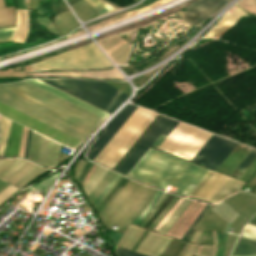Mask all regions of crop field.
I'll return each mask as SVG.
<instances>
[{
	"label": "crop field",
	"mask_w": 256,
	"mask_h": 256,
	"mask_svg": "<svg viewBox=\"0 0 256 256\" xmlns=\"http://www.w3.org/2000/svg\"><path fill=\"white\" fill-rule=\"evenodd\" d=\"M7 121H8L7 118L1 116L0 156L2 154V148H3L4 137H5L6 127H7Z\"/></svg>",
	"instance_id": "120bbe31"
},
{
	"label": "crop field",
	"mask_w": 256,
	"mask_h": 256,
	"mask_svg": "<svg viewBox=\"0 0 256 256\" xmlns=\"http://www.w3.org/2000/svg\"><path fill=\"white\" fill-rule=\"evenodd\" d=\"M103 167L99 166L95 169V171L92 173L91 177L89 178V180L86 182V184L83 186L84 190L86 188V186L91 183V181L93 180V178L101 171ZM108 171V169L103 168L102 171L94 178V180L92 181L91 184H89L86 188V193L87 195L90 193V191L96 186V184L101 180V178L106 174V172Z\"/></svg>",
	"instance_id": "a9b5d70f"
},
{
	"label": "crop field",
	"mask_w": 256,
	"mask_h": 256,
	"mask_svg": "<svg viewBox=\"0 0 256 256\" xmlns=\"http://www.w3.org/2000/svg\"><path fill=\"white\" fill-rule=\"evenodd\" d=\"M152 234L151 231H149V233L146 235V237L143 239V241L140 243V245L137 247V251H139L141 249V247L143 246V244L146 242V240L149 238V236ZM159 234H156L153 232V234L150 236V238L147 240V242L144 244V246L142 247V249L140 250L141 252H145L148 253L149 249L151 248V246L153 245V243L155 242V240L158 238ZM162 235L159 236V238L156 240V242L154 243V245L152 246V248L150 249L148 254H151L152 251L156 248V246L159 244L160 240L162 239ZM167 239L166 236L163 237L162 241L160 242V244L157 246V248L154 250V252L152 253V255L154 256L155 253L159 250V248L163 245V243L165 242V240ZM171 238H168L166 240V242L164 243V245L160 248V250L156 253L155 256H159L162 251L165 249V247L167 246V244L170 242Z\"/></svg>",
	"instance_id": "733c2abd"
},
{
	"label": "crop field",
	"mask_w": 256,
	"mask_h": 256,
	"mask_svg": "<svg viewBox=\"0 0 256 256\" xmlns=\"http://www.w3.org/2000/svg\"><path fill=\"white\" fill-rule=\"evenodd\" d=\"M109 114L127 98L128 94L102 82L77 79H39Z\"/></svg>",
	"instance_id": "34b2d1b8"
},
{
	"label": "crop field",
	"mask_w": 256,
	"mask_h": 256,
	"mask_svg": "<svg viewBox=\"0 0 256 256\" xmlns=\"http://www.w3.org/2000/svg\"><path fill=\"white\" fill-rule=\"evenodd\" d=\"M28 32L27 10H17V29L14 41L23 42Z\"/></svg>",
	"instance_id": "214f88e0"
},
{
	"label": "crop field",
	"mask_w": 256,
	"mask_h": 256,
	"mask_svg": "<svg viewBox=\"0 0 256 256\" xmlns=\"http://www.w3.org/2000/svg\"><path fill=\"white\" fill-rule=\"evenodd\" d=\"M216 208H218L219 210H221L223 213H225L229 218L234 219L236 217V215L238 214L235 210H233L231 207L227 206L224 203H219L218 205L214 206ZM216 208H212L211 211L217 213L219 216H221L223 219H225L226 221L232 223V220H230L225 214H223L222 212H220L218 209Z\"/></svg>",
	"instance_id": "4177f3b9"
},
{
	"label": "crop field",
	"mask_w": 256,
	"mask_h": 256,
	"mask_svg": "<svg viewBox=\"0 0 256 256\" xmlns=\"http://www.w3.org/2000/svg\"><path fill=\"white\" fill-rule=\"evenodd\" d=\"M35 1H36V3H39L38 0H35ZM35 1L34 0H29L31 11L36 9ZM37 7H38L40 15H43L40 4H37Z\"/></svg>",
	"instance_id": "0bd39190"
},
{
	"label": "crop field",
	"mask_w": 256,
	"mask_h": 256,
	"mask_svg": "<svg viewBox=\"0 0 256 256\" xmlns=\"http://www.w3.org/2000/svg\"><path fill=\"white\" fill-rule=\"evenodd\" d=\"M31 133H32V131L29 130L28 131V137H27V143H26V149H25V155H24V157H26V158L28 156V150H29V144H30V139H31Z\"/></svg>",
	"instance_id": "b54c1fbb"
},
{
	"label": "crop field",
	"mask_w": 256,
	"mask_h": 256,
	"mask_svg": "<svg viewBox=\"0 0 256 256\" xmlns=\"http://www.w3.org/2000/svg\"><path fill=\"white\" fill-rule=\"evenodd\" d=\"M246 228H248V229L253 230V231L256 232V226H253V225H251V224H249V223H247Z\"/></svg>",
	"instance_id": "dbb93151"
},
{
	"label": "crop field",
	"mask_w": 256,
	"mask_h": 256,
	"mask_svg": "<svg viewBox=\"0 0 256 256\" xmlns=\"http://www.w3.org/2000/svg\"><path fill=\"white\" fill-rule=\"evenodd\" d=\"M61 15L65 19L70 30L79 26L77 20L74 18V16L71 14L70 11L64 12ZM61 15L59 14V15L55 16V25L59 29L61 35H64V34L68 33L70 30L68 29V27H67L66 23L64 22L63 18L61 17ZM37 20L42 26H44L51 32L59 34L58 31L56 30V28L53 26V24L49 21V19L47 17L37 18Z\"/></svg>",
	"instance_id": "5142ce71"
},
{
	"label": "crop field",
	"mask_w": 256,
	"mask_h": 256,
	"mask_svg": "<svg viewBox=\"0 0 256 256\" xmlns=\"http://www.w3.org/2000/svg\"><path fill=\"white\" fill-rule=\"evenodd\" d=\"M25 81H27V82H29V83H31V84H33V85L43 89V90H45V91H47L49 93H52V94H54V95H56V96H58V97H60V98H62L64 100H66V101L76 105V106H79V107H81V108H83V109H85V110H87V111H89V112H91V113H93V114L103 118V119H105V118H107L109 116V114H107V113H105V112H103V111H101V110H99V109H97V108L87 104V103H84V102H82V101H80V100H78V99H76V98H74V97H72V96L62 92V91H59V90H57V89H55V88H53V87H51V86H49V85L39 81L37 79H28V80H25Z\"/></svg>",
	"instance_id": "cbeb9de0"
},
{
	"label": "crop field",
	"mask_w": 256,
	"mask_h": 256,
	"mask_svg": "<svg viewBox=\"0 0 256 256\" xmlns=\"http://www.w3.org/2000/svg\"><path fill=\"white\" fill-rule=\"evenodd\" d=\"M237 237H238V236L231 234V238H230V234H228L227 243H226V249H225V254H224V256H226V253H227V248H228V244H229V238H230V245H229V249H228L227 256L230 255V252H231V250H232V247H233V245H234V243H235Z\"/></svg>",
	"instance_id": "028f5c9d"
},
{
	"label": "crop field",
	"mask_w": 256,
	"mask_h": 256,
	"mask_svg": "<svg viewBox=\"0 0 256 256\" xmlns=\"http://www.w3.org/2000/svg\"><path fill=\"white\" fill-rule=\"evenodd\" d=\"M236 182L229 177L209 171L189 196L215 204L225 197Z\"/></svg>",
	"instance_id": "d8731c3e"
},
{
	"label": "crop field",
	"mask_w": 256,
	"mask_h": 256,
	"mask_svg": "<svg viewBox=\"0 0 256 256\" xmlns=\"http://www.w3.org/2000/svg\"><path fill=\"white\" fill-rule=\"evenodd\" d=\"M243 183H241V182H237L236 183V185L231 189V191L226 195V197L227 196H230V195H232V194H234L239 188H240V186L242 185Z\"/></svg>",
	"instance_id": "d23c7cc5"
},
{
	"label": "crop field",
	"mask_w": 256,
	"mask_h": 256,
	"mask_svg": "<svg viewBox=\"0 0 256 256\" xmlns=\"http://www.w3.org/2000/svg\"><path fill=\"white\" fill-rule=\"evenodd\" d=\"M254 256H256V255H254Z\"/></svg>",
	"instance_id": "0765c3eb"
},
{
	"label": "crop field",
	"mask_w": 256,
	"mask_h": 256,
	"mask_svg": "<svg viewBox=\"0 0 256 256\" xmlns=\"http://www.w3.org/2000/svg\"><path fill=\"white\" fill-rule=\"evenodd\" d=\"M84 164H85V161L80 160L78 166L76 165L77 168L75 167V168H76V170H75V175H76V179H77V180H79L80 171H81V169L83 168Z\"/></svg>",
	"instance_id": "c035e120"
},
{
	"label": "crop field",
	"mask_w": 256,
	"mask_h": 256,
	"mask_svg": "<svg viewBox=\"0 0 256 256\" xmlns=\"http://www.w3.org/2000/svg\"><path fill=\"white\" fill-rule=\"evenodd\" d=\"M41 135L34 132L32 133L31 145L29 150L28 158L36 162V157L39 149ZM48 138L42 136L41 145L37 157V162L44 165V160L47 151ZM60 144L49 139L48 152L45 160V166L54 167L56 166L58 155H59Z\"/></svg>",
	"instance_id": "28ad6ade"
},
{
	"label": "crop field",
	"mask_w": 256,
	"mask_h": 256,
	"mask_svg": "<svg viewBox=\"0 0 256 256\" xmlns=\"http://www.w3.org/2000/svg\"><path fill=\"white\" fill-rule=\"evenodd\" d=\"M189 243H187V245L185 246V248L182 250V252L180 253V255L179 256H182L183 255V253L186 251V249L189 247Z\"/></svg>",
	"instance_id": "0fb4a251"
},
{
	"label": "crop field",
	"mask_w": 256,
	"mask_h": 256,
	"mask_svg": "<svg viewBox=\"0 0 256 256\" xmlns=\"http://www.w3.org/2000/svg\"><path fill=\"white\" fill-rule=\"evenodd\" d=\"M15 27L1 28L0 29V41L12 40Z\"/></svg>",
	"instance_id": "1d83c4d3"
},
{
	"label": "crop field",
	"mask_w": 256,
	"mask_h": 256,
	"mask_svg": "<svg viewBox=\"0 0 256 256\" xmlns=\"http://www.w3.org/2000/svg\"><path fill=\"white\" fill-rule=\"evenodd\" d=\"M184 201H185V198H184L183 201L179 204V206L175 209V211L182 205V203H183ZM189 202H190V200L188 199V200L183 204V206L181 207V209H180V208H179L180 210L178 209V210H179L178 213H177L178 210H177L176 212L174 211L175 214L177 213L176 215H175V214H174V215H175L176 217H178L179 214L183 211V209L188 205ZM191 202H192V200H191ZM191 202H190V203H191ZM190 203H189V205H190ZM189 205H188V206H189ZM188 206H187V207H188ZM187 207H186V208H187ZM186 208H185V209H186ZM185 209H184V210H185ZM174 212H173V213H174ZM173 213L171 214V216L173 215ZM182 213H183V212H182ZM182 213H181V214H182ZM174 215H173V216H174ZM171 216H170V217H171ZM173 216H172V217H173ZM170 217H169V218H170ZM172 217H171V218H172ZM176 217L172 218L171 221H170L169 218H168V219L166 220V222L169 220V221H170V222L168 221L169 224L167 225L168 222H167V223L165 222L167 226H166L165 223H164V224L161 226V228L158 230V232H159V231L162 229V227L165 225L166 227L164 226L165 229H164V227H163L164 230L162 229V230H163L162 233L166 234L167 231H168V230L171 228V226L174 224V222L178 219V218H176ZM171 218H170V219H171Z\"/></svg>",
	"instance_id": "ae1a2a85"
},
{
	"label": "crop field",
	"mask_w": 256,
	"mask_h": 256,
	"mask_svg": "<svg viewBox=\"0 0 256 256\" xmlns=\"http://www.w3.org/2000/svg\"><path fill=\"white\" fill-rule=\"evenodd\" d=\"M0 102L81 141L103 121L25 81L1 84Z\"/></svg>",
	"instance_id": "8a807250"
},
{
	"label": "crop field",
	"mask_w": 256,
	"mask_h": 256,
	"mask_svg": "<svg viewBox=\"0 0 256 256\" xmlns=\"http://www.w3.org/2000/svg\"><path fill=\"white\" fill-rule=\"evenodd\" d=\"M93 1L96 2V3H98V4H100V5H102V6H104V7H106V8H108L110 11L116 10L115 8L109 6L108 4L102 2L101 0H93Z\"/></svg>",
	"instance_id": "25e5ab78"
},
{
	"label": "crop field",
	"mask_w": 256,
	"mask_h": 256,
	"mask_svg": "<svg viewBox=\"0 0 256 256\" xmlns=\"http://www.w3.org/2000/svg\"><path fill=\"white\" fill-rule=\"evenodd\" d=\"M4 160L5 159H0V163L3 162ZM10 160L11 159H6L3 163H1L0 170ZM20 160L21 159L19 158H14L9 163H7L5 167L0 171V177L2 178L7 172H9L13 167H15L20 162ZM45 170L46 169L38 165H35L22 159V161L8 174H6L3 177V179L22 187L30 180H32L35 176H37L39 173Z\"/></svg>",
	"instance_id": "5a996713"
},
{
	"label": "crop field",
	"mask_w": 256,
	"mask_h": 256,
	"mask_svg": "<svg viewBox=\"0 0 256 256\" xmlns=\"http://www.w3.org/2000/svg\"><path fill=\"white\" fill-rule=\"evenodd\" d=\"M122 178V176H121ZM121 178L118 180V182L121 180ZM118 182L116 183V185L118 184ZM115 185V186H116ZM115 186L108 192V194L102 199V201L98 204V206L96 208H98L100 206V204L106 199V197L112 192V190L115 188ZM120 191V188H118V190L115 192V194L110 198V200L104 204L101 209L98 211L99 213L112 201V199L117 195V193Z\"/></svg>",
	"instance_id": "5866460e"
},
{
	"label": "crop field",
	"mask_w": 256,
	"mask_h": 256,
	"mask_svg": "<svg viewBox=\"0 0 256 256\" xmlns=\"http://www.w3.org/2000/svg\"><path fill=\"white\" fill-rule=\"evenodd\" d=\"M88 3L85 0H80L72 5L71 8L74 10V12H78L81 9H83L85 6H87ZM96 13L89 7V5L87 7H85L83 10H81L80 12L77 13V16L80 20L82 21H86L89 18H91L93 15H95Z\"/></svg>",
	"instance_id": "dafd665d"
},
{
	"label": "crop field",
	"mask_w": 256,
	"mask_h": 256,
	"mask_svg": "<svg viewBox=\"0 0 256 256\" xmlns=\"http://www.w3.org/2000/svg\"><path fill=\"white\" fill-rule=\"evenodd\" d=\"M9 186V184L0 180V193Z\"/></svg>",
	"instance_id": "73cf0c24"
},
{
	"label": "crop field",
	"mask_w": 256,
	"mask_h": 256,
	"mask_svg": "<svg viewBox=\"0 0 256 256\" xmlns=\"http://www.w3.org/2000/svg\"><path fill=\"white\" fill-rule=\"evenodd\" d=\"M23 2H24V7H25V9H27L25 0H23Z\"/></svg>",
	"instance_id": "1d79db26"
},
{
	"label": "crop field",
	"mask_w": 256,
	"mask_h": 256,
	"mask_svg": "<svg viewBox=\"0 0 256 256\" xmlns=\"http://www.w3.org/2000/svg\"><path fill=\"white\" fill-rule=\"evenodd\" d=\"M227 1L228 0H195L185 7L187 9L185 12L179 11L174 15L197 26L205 18L220 9Z\"/></svg>",
	"instance_id": "d1516ede"
},
{
	"label": "crop field",
	"mask_w": 256,
	"mask_h": 256,
	"mask_svg": "<svg viewBox=\"0 0 256 256\" xmlns=\"http://www.w3.org/2000/svg\"><path fill=\"white\" fill-rule=\"evenodd\" d=\"M183 198H181L178 203L174 206V208L170 211V213L159 223V225L156 227L155 231L159 229V227L165 222V220L170 216V214L174 211V209L178 206V204L182 201Z\"/></svg>",
	"instance_id": "03da06ac"
},
{
	"label": "crop field",
	"mask_w": 256,
	"mask_h": 256,
	"mask_svg": "<svg viewBox=\"0 0 256 256\" xmlns=\"http://www.w3.org/2000/svg\"><path fill=\"white\" fill-rule=\"evenodd\" d=\"M130 46L131 45L128 42H126L125 44H123L121 47H119L109 55L115 62L124 64L128 59Z\"/></svg>",
	"instance_id": "00972430"
},
{
	"label": "crop field",
	"mask_w": 256,
	"mask_h": 256,
	"mask_svg": "<svg viewBox=\"0 0 256 256\" xmlns=\"http://www.w3.org/2000/svg\"><path fill=\"white\" fill-rule=\"evenodd\" d=\"M254 195L240 192L222 202L228 204L233 207L237 211L242 208ZM239 214L234 219L231 224L232 233L240 234L242 228L244 227L246 221L256 213V196L252 198L241 210H239Z\"/></svg>",
	"instance_id": "3316defc"
},
{
	"label": "crop field",
	"mask_w": 256,
	"mask_h": 256,
	"mask_svg": "<svg viewBox=\"0 0 256 256\" xmlns=\"http://www.w3.org/2000/svg\"><path fill=\"white\" fill-rule=\"evenodd\" d=\"M131 227V225L128 227V229L126 230V232L123 234V236L120 238V240L117 242V245H119L120 244V242L123 240V238L125 237V235L127 234V232H128V230H129V228ZM133 228V227H132ZM132 228H130V230H129V232L131 231V229ZM137 229V227H135L134 226V228L132 229V231L130 232V234L128 235V237L126 238V240H125V238H124V243H123V241H122V247H124L125 246V244H126V242L128 241V239L131 237V235L134 233V231ZM140 231V228H138L137 230H136V232L133 234V236L130 238V240L128 241V243H127V245L125 246L126 248H128V246L131 244V242H132V240L134 239V237L137 235V233ZM143 229L139 232V234L135 237V239H134V241L132 242V244L130 245V249H132V247L134 246V244L136 243V241L138 240V238L140 237V235L143 233ZM128 232V233H129ZM126 235V236H127ZM121 244H120V246H121Z\"/></svg>",
	"instance_id": "730fd06b"
},
{
	"label": "crop field",
	"mask_w": 256,
	"mask_h": 256,
	"mask_svg": "<svg viewBox=\"0 0 256 256\" xmlns=\"http://www.w3.org/2000/svg\"><path fill=\"white\" fill-rule=\"evenodd\" d=\"M35 70L82 69L112 65L94 43L73 51L34 63Z\"/></svg>",
	"instance_id": "f4fd0767"
},
{
	"label": "crop field",
	"mask_w": 256,
	"mask_h": 256,
	"mask_svg": "<svg viewBox=\"0 0 256 256\" xmlns=\"http://www.w3.org/2000/svg\"><path fill=\"white\" fill-rule=\"evenodd\" d=\"M207 172L192 163L149 149L128 175L163 189L168 184L176 186L175 193L188 196Z\"/></svg>",
	"instance_id": "ac0d7876"
},
{
	"label": "crop field",
	"mask_w": 256,
	"mask_h": 256,
	"mask_svg": "<svg viewBox=\"0 0 256 256\" xmlns=\"http://www.w3.org/2000/svg\"><path fill=\"white\" fill-rule=\"evenodd\" d=\"M116 173L108 171V173L103 177V179L98 183V185L93 189V191L88 196L92 204L100 196V194L105 190L108 184L115 177Z\"/></svg>",
	"instance_id": "92a150f3"
},
{
	"label": "crop field",
	"mask_w": 256,
	"mask_h": 256,
	"mask_svg": "<svg viewBox=\"0 0 256 256\" xmlns=\"http://www.w3.org/2000/svg\"><path fill=\"white\" fill-rule=\"evenodd\" d=\"M254 254H256V242L240 236L231 256Z\"/></svg>",
	"instance_id": "bc2a9ffb"
},
{
	"label": "crop field",
	"mask_w": 256,
	"mask_h": 256,
	"mask_svg": "<svg viewBox=\"0 0 256 256\" xmlns=\"http://www.w3.org/2000/svg\"><path fill=\"white\" fill-rule=\"evenodd\" d=\"M131 183H132V180H130L129 179V181L126 183V185L124 186V188L120 191V193L114 198V200H118V198L129 188V186L131 185ZM136 182H133V184L130 186V188L120 197V199L118 200V202L117 203H115L116 201H112L100 214H99V216H100V218L101 217H103L107 212H108V210L112 207V205L114 204V206L109 210V212L103 217V218H101V220L103 221V223L105 222V220L118 208V206L122 203V201L125 199V197L133 190V188L136 186ZM143 187H144V185H142V184H137V186L135 187V189L127 196V198L123 201V203L120 205V207L106 220V222L104 223V225L107 227V228H111L112 226H113V224L115 223V221L118 219V217L122 214V212L125 210V208L131 203V201L134 199V197L138 194V193H140L141 192V190L143 189ZM147 186H145L144 187V189L142 190V192L139 194V195H137L136 196V198L133 200V202L127 207V209L123 212V214L120 216V218L117 220V222L115 223L116 225H118V223L123 219V217L129 212V210L134 206V204L139 200V198L144 194V192L147 190ZM150 189V187L148 188V190ZM147 190V191H148ZM152 190V188L148 191V193L150 192ZM147 191H146V193H147ZM153 191H154V189L148 194V196H147V194H146V196H147V198H146V196L144 197V195L140 198V200L135 204V206L134 207H136L137 206V204L141 201V199H142V201H143V203L141 204V202L139 203V207L137 208V210H136V208L135 209H131L132 210V212H131V210H130V215H129V213L124 217V222H123V220L119 223V225L118 226H120V224H121V226L120 227H118L117 229H116V231H118L123 225H124V223L127 221V219L131 216V214H132V216L128 219V221L125 223V225L119 230V231H122L126 226H127V224L132 220V218L136 215V213L141 209V207L147 202V200L151 197V195H152V193H153ZM156 191V190H155ZM155 193V192H154ZM152 198V197H151ZM150 198V199H151ZM150 199H149V201H150ZM148 201V202H149ZM147 202V203H148ZM146 203V204H147ZM145 204V205H146ZM144 205V206H145ZM143 206V207H144ZM142 207V208H143ZM142 210V209H141ZM140 210V211H141ZM139 211V212H140ZM139 212L137 213V215L139 214ZM136 215V216H137ZM136 216L133 218V219H135L136 218ZM131 223V222H130ZM129 223V224H130ZM127 228V227H126ZM125 228V229H126ZM124 229V230H125ZM123 230V231H124Z\"/></svg>",
	"instance_id": "412701ff"
},
{
	"label": "crop field",
	"mask_w": 256,
	"mask_h": 256,
	"mask_svg": "<svg viewBox=\"0 0 256 256\" xmlns=\"http://www.w3.org/2000/svg\"><path fill=\"white\" fill-rule=\"evenodd\" d=\"M209 207V205L206 204V206L204 207V209L202 210V212L199 214V216L195 219V221L191 224V226L188 228V230L186 231V233L184 234V236L182 237L183 240H185L186 236L188 235V233L191 231V229L193 228V226L195 225V223L198 221V219L201 217V215L207 210V208Z\"/></svg>",
	"instance_id": "e1f06a70"
},
{
	"label": "crop field",
	"mask_w": 256,
	"mask_h": 256,
	"mask_svg": "<svg viewBox=\"0 0 256 256\" xmlns=\"http://www.w3.org/2000/svg\"><path fill=\"white\" fill-rule=\"evenodd\" d=\"M159 193V190H157L155 196L151 199V201L146 205V207L141 211V213L138 215V217L132 221V223H134L140 216L141 214L147 209V207L152 203V201L154 200V198L156 197V195Z\"/></svg>",
	"instance_id": "425ffa30"
},
{
	"label": "crop field",
	"mask_w": 256,
	"mask_h": 256,
	"mask_svg": "<svg viewBox=\"0 0 256 256\" xmlns=\"http://www.w3.org/2000/svg\"><path fill=\"white\" fill-rule=\"evenodd\" d=\"M255 157H256V150L252 149L250 153L244 158V160L239 164L236 170L243 172Z\"/></svg>",
	"instance_id": "bd1437ed"
},
{
	"label": "crop field",
	"mask_w": 256,
	"mask_h": 256,
	"mask_svg": "<svg viewBox=\"0 0 256 256\" xmlns=\"http://www.w3.org/2000/svg\"><path fill=\"white\" fill-rule=\"evenodd\" d=\"M214 246L201 245L196 253L197 256H215L216 252V235L213 231Z\"/></svg>",
	"instance_id": "750c4746"
},
{
	"label": "crop field",
	"mask_w": 256,
	"mask_h": 256,
	"mask_svg": "<svg viewBox=\"0 0 256 256\" xmlns=\"http://www.w3.org/2000/svg\"><path fill=\"white\" fill-rule=\"evenodd\" d=\"M180 199V197L175 196L173 200L162 210V212L157 216V218L151 223L148 229L154 230L158 223L169 213L173 205Z\"/></svg>",
	"instance_id": "d3111659"
},
{
	"label": "crop field",
	"mask_w": 256,
	"mask_h": 256,
	"mask_svg": "<svg viewBox=\"0 0 256 256\" xmlns=\"http://www.w3.org/2000/svg\"><path fill=\"white\" fill-rule=\"evenodd\" d=\"M137 106L127 104L117 116L104 128L109 130L108 132L103 131L102 134L95 140L91 145L86 157L94 159L95 156L101 151L106 143L112 138V136L118 131V129L124 124L129 116L134 112Z\"/></svg>",
	"instance_id": "22f410ed"
},
{
	"label": "crop field",
	"mask_w": 256,
	"mask_h": 256,
	"mask_svg": "<svg viewBox=\"0 0 256 256\" xmlns=\"http://www.w3.org/2000/svg\"><path fill=\"white\" fill-rule=\"evenodd\" d=\"M164 194H165V192H164ZM164 194H163V195H164ZM163 195H162V197H163ZM162 197H161V198H162ZM155 205H156V204H155Z\"/></svg>",
	"instance_id": "447ae74e"
},
{
	"label": "crop field",
	"mask_w": 256,
	"mask_h": 256,
	"mask_svg": "<svg viewBox=\"0 0 256 256\" xmlns=\"http://www.w3.org/2000/svg\"><path fill=\"white\" fill-rule=\"evenodd\" d=\"M212 206L209 207V209L203 214V216L199 219L197 224L194 226V229H202L206 230L210 222L213 220V218L216 216L213 212H211ZM228 222L220 218L219 216H216L214 220L209 225L208 229L213 230H221L224 232L225 226Z\"/></svg>",
	"instance_id": "4a817a6b"
},
{
	"label": "crop field",
	"mask_w": 256,
	"mask_h": 256,
	"mask_svg": "<svg viewBox=\"0 0 256 256\" xmlns=\"http://www.w3.org/2000/svg\"><path fill=\"white\" fill-rule=\"evenodd\" d=\"M179 121L164 117L160 115L146 133L140 138L135 146L118 164L115 170L127 175L128 172L134 167L144 153L149 149L157 137L162 134L168 136L169 133L176 127Z\"/></svg>",
	"instance_id": "dd49c442"
},
{
	"label": "crop field",
	"mask_w": 256,
	"mask_h": 256,
	"mask_svg": "<svg viewBox=\"0 0 256 256\" xmlns=\"http://www.w3.org/2000/svg\"><path fill=\"white\" fill-rule=\"evenodd\" d=\"M2 7H4L3 0H0V8ZM0 11H1L2 26H8L6 8H2L0 9ZM7 11H8V23H9V26H12L14 25V20H15L13 7H8ZM0 26H1V22H0Z\"/></svg>",
	"instance_id": "eef30255"
},
{
	"label": "crop field",
	"mask_w": 256,
	"mask_h": 256,
	"mask_svg": "<svg viewBox=\"0 0 256 256\" xmlns=\"http://www.w3.org/2000/svg\"><path fill=\"white\" fill-rule=\"evenodd\" d=\"M197 248V245L191 244V246L188 248V250L185 252L183 256H193Z\"/></svg>",
	"instance_id": "b80d0937"
},
{
	"label": "crop field",
	"mask_w": 256,
	"mask_h": 256,
	"mask_svg": "<svg viewBox=\"0 0 256 256\" xmlns=\"http://www.w3.org/2000/svg\"><path fill=\"white\" fill-rule=\"evenodd\" d=\"M120 175L118 176V178L115 180V182L110 186V188L104 193V195L100 198V200L97 202V204L101 201V199L106 195V193L114 186V184L116 183V181L119 179ZM97 204L95 205V207L97 206Z\"/></svg>",
	"instance_id": "89e229c0"
},
{
	"label": "crop field",
	"mask_w": 256,
	"mask_h": 256,
	"mask_svg": "<svg viewBox=\"0 0 256 256\" xmlns=\"http://www.w3.org/2000/svg\"><path fill=\"white\" fill-rule=\"evenodd\" d=\"M118 256H146L127 249L118 247Z\"/></svg>",
	"instance_id": "d32e631a"
},
{
	"label": "crop field",
	"mask_w": 256,
	"mask_h": 256,
	"mask_svg": "<svg viewBox=\"0 0 256 256\" xmlns=\"http://www.w3.org/2000/svg\"><path fill=\"white\" fill-rule=\"evenodd\" d=\"M122 40L120 37L117 38L115 41H113L112 43H110L109 45H107L105 48H103L104 50L109 48L110 46L114 45L115 43H117L118 41Z\"/></svg>",
	"instance_id": "1f2cbd36"
},
{
	"label": "crop field",
	"mask_w": 256,
	"mask_h": 256,
	"mask_svg": "<svg viewBox=\"0 0 256 256\" xmlns=\"http://www.w3.org/2000/svg\"><path fill=\"white\" fill-rule=\"evenodd\" d=\"M228 226H229V223H228V225L226 226V230H225V232H227V230H228Z\"/></svg>",
	"instance_id": "9d1cf04e"
},
{
	"label": "crop field",
	"mask_w": 256,
	"mask_h": 256,
	"mask_svg": "<svg viewBox=\"0 0 256 256\" xmlns=\"http://www.w3.org/2000/svg\"><path fill=\"white\" fill-rule=\"evenodd\" d=\"M168 193L165 194V196L162 198V200L159 202V204L156 206V208L153 210V212L148 216V218L143 222L141 227L146 223V221L151 217V215L160 207L161 203L164 201V199L167 197ZM153 216V215H152Z\"/></svg>",
	"instance_id": "5d738f31"
},
{
	"label": "crop field",
	"mask_w": 256,
	"mask_h": 256,
	"mask_svg": "<svg viewBox=\"0 0 256 256\" xmlns=\"http://www.w3.org/2000/svg\"><path fill=\"white\" fill-rule=\"evenodd\" d=\"M237 144L212 134L191 161L216 170Z\"/></svg>",
	"instance_id": "e52e79f7"
},
{
	"label": "crop field",
	"mask_w": 256,
	"mask_h": 256,
	"mask_svg": "<svg viewBox=\"0 0 256 256\" xmlns=\"http://www.w3.org/2000/svg\"><path fill=\"white\" fill-rule=\"evenodd\" d=\"M197 233H198V231H195V232H194V234H193L192 238L190 239V241H191V242H193V241H194V239H195V237H196ZM202 233H203V231H200V232H199V234H198V236H197V238H196V240H195V242H194V243H197V244H199V243H200V239H201Z\"/></svg>",
	"instance_id": "c21b1889"
},
{
	"label": "crop field",
	"mask_w": 256,
	"mask_h": 256,
	"mask_svg": "<svg viewBox=\"0 0 256 256\" xmlns=\"http://www.w3.org/2000/svg\"><path fill=\"white\" fill-rule=\"evenodd\" d=\"M34 76H80L88 78H118L122 77L114 67L106 70L88 72H34Z\"/></svg>",
	"instance_id": "d9b57169"
}]
</instances>
